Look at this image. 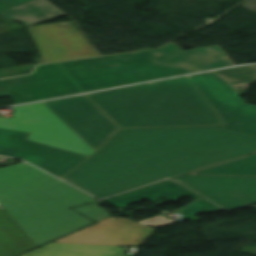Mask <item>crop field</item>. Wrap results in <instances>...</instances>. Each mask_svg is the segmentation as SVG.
I'll return each instance as SVG.
<instances>
[{"label":"crop field","mask_w":256,"mask_h":256,"mask_svg":"<svg viewBox=\"0 0 256 256\" xmlns=\"http://www.w3.org/2000/svg\"><path fill=\"white\" fill-rule=\"evenodd\" d=\"M92 201L26 163L0 168V205L37 246L93 223L69 208Z\"/></svg>","instance_id":"ac0d7876"},{"label":"crop field","mask_w":256,"mask_h":256,"mask_svg":"<svg viewBox=\"0 0 256 256\" xmlns=\"http://www.w3.org/2000/svg\"><path fill=\"white\" fill-rule=\"evenodd\" d=\"M154 232L126 218L110 217L55 243L140 247Z\"/></svg>","instance_id":"3316defc"},{"label":"crop field","mask_w":256,"mask_h":256,"mask_svg":"<svg viewBox=\"0 0 256 256\" xmlns=\"http://www.w3.org/2000/svg\"><path fill=\"white\" fill-rule=\"evenodd\" d=\"M252 152L255 135L214 126L122 129L62 180L105 198Z\"/></svg>","instance_id":"8a807250"},{"label":"crop field","mask_w":256,"mask_h":256,"mask_svg":"<svg viewBox=\"0 0 256 256\" xmlns=\"http://www.w3.org/2000/svg\"><path fill=\"white\" fill-rule=\"evenodd\" d=\"M13 109V119L0 118L1 129L32 132L28 140L89 156L96 152L43 103Z\"/></svg>","instance_id":"f4fd0767"},{"label":"crop field","mask_w":256,"mask_h":256,"mask_svg":"<svg viewBox=\"0 0 256 256\" xmlns=\"http://www.w3.org/2000/svg\"><path fill=\"white\" fill-rule=\"evenodd\" d=\"M224 127L256 135V106L245 104Z\"/></svg>","instance_id":"bc2a9ffb"},{"label":"crop field","mask_w":256,"mask_h":256,"mask_svg":"<svg viewBox=\"0 0 256 256\" xmlns=\"http://www.w3.org/2000/svg\"><path fill=\"white\" fill-rule=\"evenodd\" d=\"M239 94H244L248 85L256 80V65L229 68L217 71Z\"/></svg>","instance_id":"4a817a6b"},{"label":"crop field","mask_w":256,"mask_h":256,"mask_svg":"<svg viewBox=\"0 0 256 256\" xmlns=\"http://www.w3.org/2000/svg\"><path fill=\"white\" fill-rule=\"evenodd\" d=\"M173 180L226 209L256 202V178L185 175Z\"/></svg>","instance_id":"28ad6ade"},{"label":"crop field","mask_w":256,"mask_h":256,"mask_svg":"<svg viewBox=\"0 0 256 256\" xmlns=\"http://www.w3.org/2000/svg\"><path fill=\"white\" fill-rule=\"evenodd\" d=\"M11 8H14V7L0 1V12L4 11V10H7V9H11Z\"/></svg>","instance_id":"a9b5d70f"},{"label":"crop field","mask_w":256,"mask_h":256,"mask_svg":"<svg viewBox=\"0 0 256 256\" xmlns=\"http://www.w3.org/2000/svg\"><path fill=\"white\" fill-rule=\"evenodd\" d=\"M82 92L57 63L38 66L29 76L0 81V97L16 104Z\"/></svg>","instance_id":"d8731c3e"},{"label":"crop field","mask_w":256,"mask_h":256,"mask_svg":"<svg viewBox=\"0 0 256 256\" xmlns=\"http://www.w3.org/2000/svg\"><path fill=\"white\" fill-rule=\"evenodd\" d=\"M216 210H220V208L202 198L195 200L189 205L177 210V213L182 217L195 222L198 221L199 218H197L194 214L212 212Z\"/></svg>","instance_id":"214f88e0"},{"label":"crop field","mask_w":256,"mask_h":256,"mask_svg":"<svg viewBox=\"0 0 256 256\" xmlns=\"http://www.w3.org/2000/svg\"><path fill=\"white\" fill-rule=\"evenodd\" d=\"M101 204H104V203L100 202V203L76 208L75 210L98 221V220L102 219L103 217L111 214V213L107 212L106 210L100 208L99 205H101Z\"/></svg>","instance_id":"92a150f3"},{"label":"crop field","mask_w":256,"mask_h":256,"mask_svg":"<svg viewBox=\"0 0 256 256\" xmlns=\"http://www.w3.org/2000/svg\"><path fill=\"white\" fill-rule=\"evenodd\" d=\"M122 65L105 69L102 66ZM84 92L233 66L219 45L183 51L162 49L60 63Z\"/></svg>","instance_id":"412701ff"},{"label":"crop field","mask_w":256,"mask_h":256,"mask_svg":"<svg viewBox=\"0 0 256 256\" xmlns=\"http://www.w3.org/2000/svg\"><path fill=\"white\" fill-rule=\"evenodd\" d=\"M44 104L96 151L120 129L85 95Z\"/></svg>","instance_id":"dd49c442"},{"label":"crop field","mask_w":256,"mask_h":256,"mask_svg":"<svg viewBox=\"0 0 256 256\" xmlns=\"http://www.w3.org/2000/svg\"><path fill=\"white\" fill-rule=\"evenodd\" d=\"M167 197L173 201L190 196L194 199L201 198L200 196L170 182H163L160 184L152 185L125 195H121L115 198L104 200L118 208L137 203L143 200L153 201L161 197Z\"/></svg>","instance_id":"22f410ed"},{"label":"crop field","mask_w":256,"mask_h":256,"mask_svg":"<svg viewBox=\"0 0 256 256\" xmlns=\"http://www.w3.org/2000/svg\"><path fill=\"white\" fill-rule=\"evenodd\" d=\"M36 245L0 206V256H17Z\"/></svg>","instance_id":"cbeb9de0"},{"label":"crop field","mask_w":256,"mask_h":256,"mask_svg":"<svg viewBox=\"0 0 256 256\" xmlns=\"http://www.w3.org/2000/svg\"><path fill=\"white\" fill-rule=\"evenodd\" d=\"M187 78L224 124L245 104L216 71L190 75Z\"/></svg>","instance_id":"d1516ede"},{"label":"crop field","mask_w":256,"mask_h":256,"mask_svg":"<svg viewBox=\"0 0 256 256\" xmlns=\"http://www.w3.org/2000/svg\"><path fill=\"white\" fill-rule=\"evenodd\" d=\"M29 135L0 129V155L21 158L59 178L89 157L28 141Z\"/></svg>","instance_id":"e52e79f7"},{"label":"crop field","mask_w":256,"mask_h":256,"mask_svg":"<svg viewBox=\"0 0 256 256\" xmlns=\"http://www.w3.org/2000/svg\"><path fill=\"white\" fill-rule=\"evenodd\" d=\"M27 29L45 62L98 56L72 21Z\"/></svg>","instance_id":"5a996713"},{"label":"crop field","mask_w":256,"mask_h":256,"mask_svg":"<svg viewBox=\"0 0 256 256\" xmlns=\"http://www.w3.org/2000/svg\"><path fill=\"white\" fill-rule=\"evenodd\" d=\"M24 256H124L120 247L47 244Z\"/></svg>","instance_id":"d9b57169"},{"label":"crop field","mask_w":256,"mask_h":256,"mask_svg":"<svg viewBox=\"0 0 256 256\" xmlns=\"http://www.w3.org/2000/svg\"><path fill=\"white\" fill-rule=\"evenodd\" d=\"M88 96L121 128L224 126L186 77Z\"/></svg>","instance_id":"34b2d1b8"},{"label":"crop field","mask_w":256,"mask_h":256,"mask_svg":"<svg viewBox=\"0 0 256 256\" xmlns=\"http://www.w3.org/2000/svg\"><path fill=\"white\" fill-rule=\"evenodd\" d=\"M149 219H151V221H149ZM149 219L140 221V222H138V223L143 224V225H145V226L151 225V226L157 227V226H163V225H167V224H171V223L176 222V221L173 220V219L167 220V219L163 218V217L160 216V215L151 217V218H149Z\"/></svg>","instance_id":"dafd665d"},{"label":"crop field","mask_w":256,"mask_h":256,"mask_svg":"<svg viewBox=\"0 0 256 256\" xmlns=\"http://www.w3.org/2000/svg\"><path fill=\"white\" fill-rule=\"evenodd\" d=\"M0 15L21 21L26 27L66 16L47 0H34L17 8L1 12Z\"/></svg>","instance_id":"5142ce71"},{"label":"crop field","mask_w":256,"mask_h":256,"mask_svg":"<svg viewBox=\"0 0 256 256\" xmlns=\"http://www.w3.org/2000/svg\"><path fill=\"white\" fill-rule=\"evenodd\" d=\"M2 1H4V2H6V3H8V4H10L14 7H17V6L22 5L26 2H29L31 0H2Z\"/></svg>","instance_id":"00972430"},{"label":"crop field","mask_w":256,"mask_h":256,"mask_svg":"<svg viewBox=\"0 0 256 256\" xmlns=\"http://www.w3.org/2000/svg\"><path fill=\"white\" fill-rule=\"evenodd\" d=\"M190 174L256 176V153L245 158Z\"/></svg>","instance_id":"733c2abd"}]
</instances>
